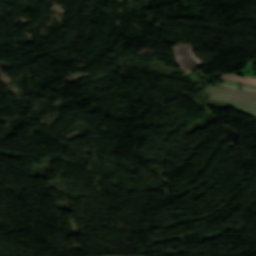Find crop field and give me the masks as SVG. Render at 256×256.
<instances>
[{"label":"crop field","mask_w":256,"mask_h":256,"mask_svg":"<svg viewBox=\"0 0 256 256\" xmlns=\"http://www.w3.org/2000/svg\"><path fill=\"white\" fill-rule=\"evenodd\" d=\"M220 78L256 85V79L248 78V77L240 78L239 76H236V75L226 74Z\"/></svg>","instance_id":"8a807250"},{"label":"crop field","mask_w":256,"mask_h":256,"mask_svg":"<svg viewBox=\"0 0 256 256\" xmlns=\"http://www.w3.org/2000/svg\"><path fill=\"white\" fill-rule=\"evenodd\" d=\"M220 86L229 87V88H235V89H246V90H250V91L256 92L255 89H249V88H244V87H238V86H232V85H225V84H220Z\"/></svg>","instance_id":"ac0d7876"}]
</instances>
